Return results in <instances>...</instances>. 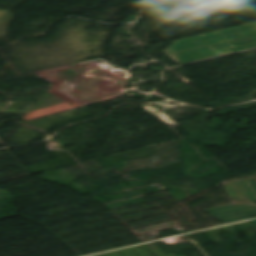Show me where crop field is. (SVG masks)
<instances>
[{
  "label": "crop field",
  "instance_id": "8a807250",
  "mask_svg": "<svg viewBox=\"0 0 256 256\" xmlns=\"http://www.w3.org/2000/svg\"><path fill=\"white\" fill-rule=\"evenodd\" d=\"M57 83L53 89L83 103L112 98L124 79L90 62L38 72Z\"/></svg>",
  "mask_w": 256,
  "mask_h": 256
},
{
  "label": "crop field",
  "instance_id": "34b2d1b8",
  "mask_svg": "<svg viewBox=\"0 0 256 256\" xmlns=\"http://www.w3.org/2000/svg\"><path fill=\"white\" fill-rule=\"evenodd\" d=\"M206 212L220 219L221 221L228 223L237 220L256 217V205L250 204H234L225 207L206 210Z\"/></svg>",
  "mask_w": 256,
  "mask_h": 256
},
{
  "label": "crop field",
  "instance_id": "412701ff",
  "mask_svg": "<svg viewBox=\"0 0 256 256\" xmlns=\"http://www.w3.org/2000/svg\"><path fill=\"white\" fill-rule=\"evenodd\" d=\"M225 187L234 201L256 202V181L254 178L231 182Z\"/></svg>",
  "mask_w": 256,
  "mask_h": 256
},
{
  "label": "crop field",
  "instance_id": "f4fd0767",
  "mask_svg": "<svg viewBox=\"0 0 256 256\" xmlns=\"http://www.w3.org/2000/svg\"><path fill=\"white\" fill-rule=\"evenodd\" d=\"M232 7L255 4V0H226Z\"/></svg>",
  "mask_w": 256,
  "mask_h": 256
},
{
  "label": "crop field",
  "instance_id": "ac0d7876",
  "mask_svg": "<svg viewBox=\"0 0 256 256\" xmlns=\"http://www.w3.org/2000/svg\"><path fill=\"white\" fill-rule=\"evenodd\" d=\"M256 48V23L175 41L166 52L180 64Z\"/></svg>",
  "mask_w": 256,
  "mask_h": 256
},
{
  "label": "crop field",
  "instance_id": "dd49c442",
  "mask_svg": "<svg viewBox=\"0 0 256 256\" xmlns=\"http://www.w3.org/2000/svg\"><path fill=\"white\" fill-rule=\"evenodd\" d=\"M252 223H254L256 225V219L255 220H251Z\"/></svg>",
  "mask_w": 256,
  "mask_h": 256
}]
</instances>
